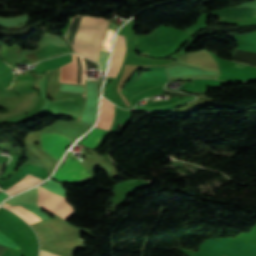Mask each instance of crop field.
Instances as JSON below:
<instances>
[{
    "instance_id": "d1516ede",
    "label": "crop field",
    "mask_w": 256,
    "mask_h": 256,
    "mask_svg": "<svg viewBox=\"0 0 256 256\" xmlns=\"http://www.w3.org/2000/svg\"><path fill=\"white\" fill-rule=\"evenodd\" d=\"M252 46H237V49L256 53V33L247 35Z\"/></svg>"
},
{
    "instance_id": "dd49c442",
    "label": "crop field",
    "mask_w": 256,
    "mask_h": 256,
    "mask_svg": "<svg viewBox=\"0 0 256 256\" xmlns=\"http://www.w3.org/2000/svg\"><path fill=\"white\" fill-rule=\"evenodd\" d=\"M41 138L43 149L50 152L59 161L69 143V139L55 133H43Z\"/></svg>"
},
{
    "instance_id": "733c2abd",
    "label": "crop field",
    "mask_w": 256,
    "mask_h": 256,
    "mask_svg": "<svg viewBox=\"0 0 256 256\" xmlns=\"http://www.w3.org/2000/svg\"><path fill=\"white\" fill-rule=\"evenodd\" d=\"M97 95H98V90H97Z\"/></svg>"
},
{
    "instance_id": "3316defc",
    "label": "crop field",
    "mask_w": 256,
    "mask_h": 256,
    "mask_svg": "<svg viewBox=\"0 0 256 256\" xmlns=\"http://www.w3.org/2000/svg\"><path fill=\"white\" fill-rule=\"evenodd\" d=\"M102 132V130L94 128V130L89 134V136L82 140L81 143L93 148L99 140Z\"/></svg>"
},
{
    "instance_id": "28ad6ade",
    "label": "crop field",
    "mask_w": 256,
    "mask_h": 256,
    "mask_svg": "<svg viewBox=\"0 0 256 256\" xmlns=\"http://www.w3.org/2000/svg\"><path fill=\"white\" fill-rule=\"evenodd\" d=\"M193 87H205V86H212V85H221L226 84L225 81H218V80H194Z\"/></svg>"
},
{
    "instance_id": "22f410ed",
    "label": "crop field",
    "mask_w": 256,
    "mask_h": 256,
    "mask_svg": "<svg viewBox=\"0 0 256 256\" xmlns=\"http://www.w3.org/2000/svg\"><path fill=\"white\" fill-rule=\"evenodd\" d=\"M0 245L12 247L19 250V245L15 243L13 240L9 239L7 236H5L1 231H0Z\"/></svg>"
},
{
    "instance_id": "5a996713",
    "label": "crop field",
    "mask_w": 256,
    "mask_h": 256,
    "mask_svg": "<svg viewBox=\"0 0 256 256\" xmlns=\"http://www.w3.org/2000/svg\"><path fill=\"white\" fill-rule=\"evenodd\" d=\"M212 15L219 18H250L256 17L255 8H229L212 12Z\"/></svg>"
},
{
    "instance_id": "412701ff",
    "label": "crop field",
    "mask_w": 256,
    "mask_h": 256,
    "mask_svg": "<svg viewBox=\"0 0 256 256\" xmlns=\"http://www.w3.org/2000/svg\"><path fill=\"white\" fill-rule=\"evenodd\" d=\"M39 206L56 213L64 220H68L75 215L72 206L66 202V197L50 192L39 186Z\"/></svg>"
},
{
    "instance_id": "cbeb9de0",
    "label": "crop field",
    "mask_w": 256,
    "mask_h": 256,
    "mask_svg": "<svg viewBox=\"0 0 256 256\" xmlns=\"http://www.w3.org/2000/svg\"><path fill=\"white\" fill-rule=\"evenodd\" d=\"M0 98H13L17 99V94L14 90L5 91L3 93H0Z\"/></svg>"
},
{
    "instance_id": "d8731c3e",
    "label": "crop field",
    "mask_w": 256,
    "mask_h": 256,
    "mask_svg": "<svg viewBox=\"0 0 256 256\" xmlns=\"http://www.w3.org/2000/svg\"><path fill=\"white\" fill-rule=\"evenodd\" d=\"M68 52H70L68 46H59V45L48 43L45 46H43L41 50L36 52V54L39 55L42 59H45L53 55L68 53ZM32 55L38 61H40V59L38 58L39 56L37 57L34 53H32ZM32 55L29 54V55H26L25 57L33 64L37 62V60Z\"/></svg>"
},
{
    "instance_id": "f4fd0767",
    "label": "crop field",
    "mask_w": 256,
    "mask_h": 256,
    "mask_svg": "<svg viewBox=\"0 0 256 256\" xmlns=\"http://www.w3.org/2000/svg\"><path fill=\"white\" fill-rule=\"evenodd\" d=\"M68 157L66 158V160ZM65 160V161H66ZM72 158H69L52 176V178L58 181H75L86 176L89 174L83 169V167L78 163L76 159L75 161L71 162Z\"/></svg>"
},
{
    "instance_id": "e52e79f7",
    "label": "crop field",
    "mask_w": 256,
    "mask_h": 256,
    "mask_svg": "<svg viewBox=\"0 0 256 256\" xmlns=\"http://www.w3.org/2000/svg\"><path fill=\"white\" fill-rule=\"evenodd\" d=\"M125 50L126 46L124 37L117 35L107 75L116 77L121 66Z\"/></svg>"
},
{
    "instance_id": "d9b57169",
    "label": "crop field",
    "mask_w": 256,
    "mask_h": 256,
    "mask_svg": "<svg viewBox=\"0 0 256 256\" xmlns=\"http://www.w3.org/2000/svg\"><path fill=\"white\" fill-rule=\"evenodd\" d=\"M3 166V164L2 163H0V169H1V167Z\"/></svg>"
},
{
    "instance_id": "5142ce71",
    "label": "crop field",
    "mask_w": 256,
    "mask_h": 256,
    "mask_svg": "<svg viewBox=\"0 0 256 256\" xmlns=\"http://www.w3.org/2000/svg\"><path fill=\"white\" fill-rule=\"evenodd\" d=\"M8 195H6L3 191L0 192V201L2 199H4L5 197H7Z\"/></svg>"
},
{
    "instance_id": "34b2d1b8",
    "label": "crop field",
    "mask_w": 256,
    "mask_h": 256,
    "mask_svg": "<svg viewBox=\"0 0 256 256\" xmlns=\"http://www.w3.org/2000/svg\"><path fill=\"white\" fill-rule=\"evenodd\" d=\"M211 55L216 59L221 76L218 79L228 80L231 82L256 80V68L245 64L233 63Z\"/></svg>"
},
{
    "instance_id": "ac0d7876",
    "label": "crop field",
    "mask_w": 256,
    "mask_h": 256,
    "mask_svg": "<svg viewBox=\"0 0 256 256\" xmlns=\"http://www.w3.org/2000/svg\"><path fill=\"white\" fill-rule=\"evenodd\" d=\"M256 256V246L233 238L206 239L193 256Z\"/></svg>"
},
{
    "instance_id": "8a807250",
    "label": "crop field",
    "mask_w": 256,
    "mask_h": 256,
    "mask_svg": "<svg viewBox=\"0 0 256 256\" xmlns=\"http://www.w3.org/2000/svg\"><path fill=\"white\" fill-rule=\"evenodd\" d=\"M104 21L105 20L102 19L85 16L73 52L83 55L87 58L94 59L98 37L101 33ZM118 27L119 26L111 22L109 23L98 61V63L101 65V71H105L108 55L110 52L109 41L113 32L116 31Z\"/></svg>"
}]
</instances>
